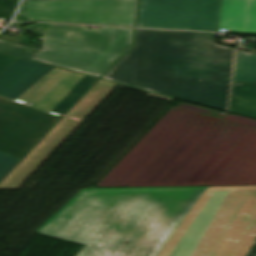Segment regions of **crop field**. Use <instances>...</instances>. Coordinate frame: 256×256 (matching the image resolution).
<instances>
[{
	"instance_id": "11",
	"label": "crop field",
	"mask_w": 256,
	"mask_h": 256,
	"mask_svg": "<svg viewBox=\"0 0 256 256\" xmlns=\"http://www.w3.org/2000/svg\"><path fill=\"white\" fill-rule=\"evenodd\" d=\"M230 112L256 119V101L233 95Z\"/></svg>"
},
{
	"instance_id": "14",
	"label": "crop field",
	"mask_w": 256,
	"mask_h": 256,
	"mask_svg": "<svg viewBox=\"0 0 256 256\" xmlns=\"http://www.w3.org/2000/svg\"><path fill=\"white\" fill-rule=\"evenodd\" d=\"M19 160L0 152V179L18 162Z\"/></svg>"
},
{
	"instance_id": "15",
	"label": "crop field",
	"mask_w": 256,
	"mask_h": 256,
	"mask_svg": "<svg viewBox=\"0 0 256 256\" xmlns=\"http://www.w3.org/2000/svg\"><path fill=\"white\" fill-rule=\"evenodd\" d=\"M17 59L18 57L0 53V73L4 71L9 65H11Z\"/></svg>"
},
{
	"instance_id": "4",
	"label": "crop field",
	"mask_w": 256,
	"mask_h": 256,
	"mask_svg": "<svg viewBox=\"0 0 256 256\" xmlns=\"http://www.w3.org/2000/svg\"><path fill=\"white\" fill-rule=\"evenodd\" d=\"M96 80L19 58L0 74V97L62 116Z\"/></svg>"
},
{
	"instance_id": "13",
	"label": "crop field",
	"mask_w": 256,
	"mask_h": 256,
	"mask_svg": "<svg viewBox=\"0 0 256 256\" xmlns=\"http://www.w3.org/2000/svg\"><path fill=\"white\" fill-rule=\"evenodd\" d=\"M233 94L256 100V83H235Z\"/></svg>"
},
{
	"instance_id": "3",
	"label": "crop field",
	"mask_w": 256,
	"mask_h": 256,
	"mask_svg": "<svg viewBox=\"0 0 256 256\" xmlns=\"http://www.w3.org/2000/svg\"><path fill=\"white\" fill-rule=\"evenodd\" d=\"M40 23L26 29L44 34L43 51L0 40V52L100 78L131 48L134 29Z\"/></svg>"
},
{
	"instance_id": "12",
	"label": "crop field",
	"mask_w": 256,
	"mask_h": 256,
	"mask_svg": "<svg viewBox=\"0 0 256 256\" xmlns=\"http://www.w3.org/2000/svg\"><path fill=\"white\" fill-rule=\"evenodd\" d=\"M116 86L117 84L100 80L85 97L102 102Z\"/></svg>"
},
{
	"instance_id": "16",
	"label": "crop field",
	"mask_w": 256,
	"mask_h": 256,
	"mask_svg": "<svg viewBox=\"0 0 256 256\" xmlns=\"http://www.w3.org/2000/svg\"><path fill=\"white\" fill-rule=\"evenodd\" d=\"M246 256H256V239L253 242L252 246L250 247L248 253L246 254Z\"/></svg>"
},
{
	"instance_id": "8",
	"label": "crop field",
	"mask_w": 256,
	"mask_h": 256,
	"mask_svg": "<svg viewBox=\"0 0 256 256\" xmlns=\"http://www.w3.org/2000/svg\"><path fill=\"white\" fill-rule=\"evenodd\" d=\"M83 97L70 112L0 183V189L16 188L98 105Z\"/></svg>"
},
{
	"instance_id": "6",
	"label": "crop field",
	"mask_w": 256,
	"mask_h": 256,
	"mask_svg": "<svg viewBox=\"0 0 256 256\" xmlns=\"http://www.w3.org/2000/svg\"><path fill=\"white\" fill-rule=\"evenodd\" d=\"M221 0H140L137 27L217 30Z\"/></svg>"
},
{
	"instance_id": "1",
	"label": "crop field",
	"mask_w": 256,
	"mask_h": 256,
	"mask_svg": "<svg viewBox=\"0 0 256 256\" xmlns=\"http://www.w3.org/2000/svg\"><path fill=\"white\" fill-rule=\"evenodd\" d=\"M37 232L86 244L76 256H244L256 186L84 189Z\"/></svg>"
},
{
	"instance_id": "7",
	"label": "crop field",
	"mask_w": 256,
	"mask_h": 256,
	"mask_svg": "<svg viewBox=\"0 0 256 256\" xmlns=\"http://www.w3.org/2000/svg\"><path fill=\"white\" fill-rule=\"evenodd\" d=\"M58 119L0 99V151L20 159Z\"/></svg>"
},
{
	"instance_id": "10",
	"label": "crop field",
	"mask_w": 256,
	"mask_h": 256,
	"mask_svg": "<svg viewBox=\"0 0 256 256\" xmlns=\"http://www.w3.org/2000/svg\"><path fill=\"white\" fill-rule=\"evenodd\" d=\"M234 81H256V54L238 50Z\"/></svg>"
},
{
	"instance_id": "5",
	"label": "crop field",
	"mask_w": 256,
	"mask_h": 256,
	"mask_svg": "<svg viewBox=\"0 0 256 256\" xmlns=\"http://www.w3.org/2000/svg\"><path fill=\"white\" fill-rule=\"evenodd\" d=\"M137 0H23L28 21L134 27Z\"/></svg>"
},
{
	"instance_id": "9",
	"label": "crop field",
	"mask_w": 256,
	"mask_h": 256,
	"mask_svg": "<svg viewBox=\"0 0 256 256\" xmlns=\"http://www.w3.org/2000/svg\"><path fill=\"white\" fill-rule=\"evenodd\" d=\"M218 28L256 33V0H222Z\"/></svg>"
},
{
	"instance_id": "2",
	"label": "crop field",
	"mask_w": 256,
	"mask_h": 256,
	"mask_svg": "<svg viewBox=\"0 0 256 256\" xmlns=\"http://www.w3.org/2000/svg\"><path fill=\"white\" fill-rule=\"evenodd\" d=\"M233 53L214 34L137 29L103 78L225 111Z\"/></svg>"
}]
</instances>
